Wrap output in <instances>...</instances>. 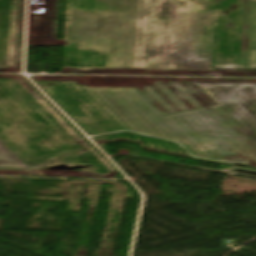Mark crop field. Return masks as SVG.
<instances>
[{
	"mask_svg": "<svg viewBox=\"0 0 256 256\" xmlns=\"http://www.w3.org/2000/svg\"><path fill=\"white\" fill-rule=\"evenodd\" d=\"M202 86L219 104H214ZM131 130L185 143L198 157L256 166V84L190 83L138 89H90Z\"/></svg>",
	"mask_w": 256,
	"mask_h": 256,
	"instance_id": "crop-field-1",
	"label": "crop field"
},
{
	"mask_svg": "<svg viewBox=\"0 0 256 256\" xmlns=\"http://www.w3.org/2000/svg\"><path fill=\"white\" fill-rule=\"evenodd\" d=\"M106 12L73 8L71 47L106 52L105 68H132L136 0H99Z\"/></svg>",
	"mask_w": 256,
	"mask_h": 256,
	"instance_id": "crop-field-2",
	"label": "crop field"
},
{
	"mask_svg": "<svg viewBox=\"0 0 256 256\" xmlns=\"http://www.w3.org/2000/svg\"><path fill=\"white\" fill-rule=\"evenodd\" d=\"M179 0H137L133 68L175 69Z\"/></svg>",
	"mask_w": 256,
	"mask_h": 256,
	"instance_id": "crop-field-3",
	"label": "crop field"
},
{
	"mask_svg": "<svg viewBox=\"0 0 256 256\" xmlns=\"http://www.w3.org/2000/svg\"><path fill=\"white\" fill-rule=\"evenodd\" d=\"M206 5L180 0L176 69H203Z\"/></svg>",
	"mask_w": 256,
	"mask_h": 256,
	"instance_id": "crop-field-4",
	"label": "crop field"
},
{
	"mask_svg": "<svg viewBox=\"0 0 256 256\" xmlns=\"http://www.w3.org/2000/svg\"><path fill=\"white\" fill-rule=\"evenodd\" d=\"M79 78L87 86L136 87V88L190 83V82H194V80L256 83V80H237V79H173V78H109V77H79Z\"/></svg>",
	"mask_w": 256,
	"mask_h": 256,
	"instance_id": "crop-field-5",
	"label": "crop field"
},
{
	"mask_svg": "<svg viewBox=\"0 0 256 256\" xmlns=\"http://www.w3.org/2000/svg\"><path fill=\"white\" fill-rule=\"evenodd\" d=\"M105 73L244 75V71H226V70L152 71L148 69H105Z\"/></svg>",
	"mask_w": 256,
	"mask_h": 256,
	"instance_id": "crop-field-6",
	"label": "crop field"
},
{
	"mask_svg": "<svg viewBox=\"0 0 256 256\" xmlns=\"http://www.w3.org/2000/svg\"><path fill=\"white\" fill-rule=\"evenodd\" d=\"M249 9H250V0H244V16H243V32H242L241 56H247V37H248Z\"/></svg>",
	"mask_w": 256,
	"mask_h": 256,
	"instance_id": "crop-field-7",
	"label": "crop field"
},
{
	"mask_svg": "<svg viewBox=\"0 0 256 256\" xmlns=\"http://www.w3.org/2000/svg\"><path fill=\"white\" fill-rule=\"evenodd\" d=\"M0 167L28 168L26 166L16 165L1 149H0Z\"/></svg>",
	"mask_w": 256,
	"mask_h": 256,
	"instance_id": "crop-field-8",
	"label": "crop field"
},
{
	"mask_svg": "<svg viewBox=\"0 0 256 256\" xmlns=\"http://www.w3.org/2000/svg\"><path fill=\"white\" fill-rule=\"evenodd\" d=\"M0 174L34 175L31 170H0Z\"/></svg>",
	"mask_w": 256,
	"mask_h": 256,
	"instance_id": "crop-field-9",
	"label": "crop field"
},
{
	"mask_svg": "<svg viewBox=\"0 0 256 256\" xmlns=\"http://www.w3.org/2000/svg\"><path fill=\"white\" fill-rule=\"evenodd\" d=\"M0 148L17 164L24 165L1 141Z\"/></svg>",
	"mask_w": 256,
	"mask_h": 256,
	"instance_id": "crop-field-10",
	"label": "crop field"
}]
</instances>
